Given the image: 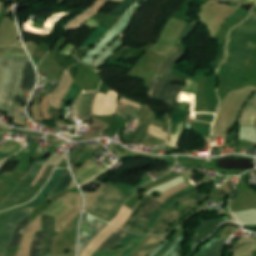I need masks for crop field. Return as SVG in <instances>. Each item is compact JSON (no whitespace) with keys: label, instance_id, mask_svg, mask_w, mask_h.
Here are the masks:
<instances>
[{"label":"crop field","instance_id":"a9b5d70f","mask_svg":"<svg viewBox=\"0 0 256 256\" xmlns=\"http://www.w3.org/2000/svg\"><path fill=\"white\" fill-rule=\"evenodd\" d=\"M124 45L122 39H117L113 45L105 50L101 55L97 57L94 63V69L100 65H105L107 59L111 57L119 48Z\"/></svg>","mask_w":256,"mask_h":256},{"label":"crop field","instance_id":"34b2d1b8","mask_svg":"<svg viewBox=\"0 0 256 256\" xmlns=\"http://www.w3.org/2000/svg\"><path fill=\"white\" fill-rule=\"evenodd\" d=\"M237 37L235 35L231 36L228 55L221 68L241 73L256 44L239 40Z\"/></svg>","mask_w":256,"mask_h":256},{"label":"crop field","instance_id":"d23c7cc5","mask_svg":"<svg viewBox=\"0 0 256 256\" xmlns=\"http://www.w3.org/2000/svg\"><path fill=\"white\" fill-rule=\"evenodd\" d=\"M150 180H152L151 177H149V178H147V179H145V180L139 182L138 184H136L135 186H133L132 188H130V189L127 190V191H129V192L131 193V192L134 191L136 188H138V187L144 185L145 183L149 182Z\"/></svg>","mask_w":256,"mask_h":256},{"label":"crop field","instance_id":"c21b1889","mask_svg":"<svg viewBox=\"0 0 256 256\" xmlns=\"http://www.w3.org/2000/svg\"><path fill=\"white\" fill-rule=\"evenodd\" d=\"M194 190H196V188H194V189H192V190H190V191H188V192H186V193H184V194H182V195L176 197V198L173 199L170 203H168V204L164 207V209L166 210L173 202H175L176 200L180 199L181 197L185 196L186 194H188V193H190V192H192V191H194ZM160 214H162V212H159V213L157 214L156 218L153 220V222L151 223L150 227L148 228L146 234H148V232L150 231V229L152 228V226L154 225V223L156 222V220L158 219V217H159Z\"/></svg>","mask_w":256,"mask_h":256},{"label":"crop field","instance_id":"25e5ab78","mask_svg":"<svg viewBox=\"0 0 256 256\" xmlns=\"http://www.w3.org/2000/svg\"><path fill=\"white\" fill-rule=\"evenodd\" d=\"M171 235L168 237V239L160 246L158 247L150 256H153L156 252H158L161 248L165 246L167 242H169Z\"/></svg>","mask_w":256,"mask_h":256},{"label":"crop field","instance_id":"d32e631a","mask_svg":"<svg viewBox=\"0 0 256 256\" xmlns=\"http://www.w3.org/2000/svg\"><path fill=\"white\" fill-rule=\"evenodd\" d=\"M45 167H46V165L44 166V168L42 169L40 175L36 178V180L33 182L32 185H34L35 182L40 178V176L42 175V173H43ZM53 168H54V166L48 165L47 168H46V170H45V172H44V174H43V175L41 176V178L36 182L35 185H44L45 182L48 180V178H49V176H50V174H51ZM50 177H51V176H50Z\"/></svg>","mask_w":256,"mask_h":256},{"label":"crop field","instance_id":"f4fd0767","mask_svg":"<svg viewBox=\"0 0 256 256\" xmlns=\"http://www.w3.org/2000/svg\"><path fill=\"white\" fill-rule=\"evenodd\" d=\"M152 198L147 196L143 199L141 203L137 206L133 214L130 216V218L127 220V222L124 224L123 229L127 230L128 227L133 223V221L136 219L137 215L140 213V211L143 209V207L151 200ZM162 204L158 203L155 200H151L142 210L138 218L148 221L151 214ZM152 207V210L149 211V208ZM136 219L135 222L130 226L128 231L139 234L141 228L144 226L146 221ZM143 229V228H142Z\"/></svg>","mask_w":256,"mask_h":256},{"label":"crop field","instance_id":"73cf0c24","mask_svg":"<svg viewBox=\"0 0 256 256\" xmlns=\"http://www.w3.org/2000/svg\"><path fill=\"white\" fill-rule=\"evenodd\" d=\"M244 0H222V2H227V3H234V4H242Z\"/></svg>","mask_w":256,"mask_h":256},{"label":"crop field","instance_id":"ac0d7876","mask_svg":"<svg viewBox=\"0 0 256 256\" xmlns=\"http://www.w3.org/2000/svg\"><path fill=\"white\" fill-rule=\"evenodd\" d=\"M126 200V197L118 189L106 183L100 194L85 211L110 222L119 213Z\"/></svg>","mask_w":256,"mask_h":256},{"label":"crop field","instance_id":"4177f3b9","mask_svg":"<svg viewBox=\"0 0 256 256\" xmlns=\"http://www.w3.org/2000/svg\"><path fill=\"white\" fill-rule=\"evenodd\" d=\"M111 28L106 27L100 24L95 31L90 35V37L83 42L79 48L88 47L94 45L99 39H101L107 32H109Z\"/></svg>","mask_w":256,"mask_h":256},{"label":"crop field","instance_id":"bd1437ed","mask_svg":"<svg viewBox=\"0 0 256 256\" xmlns=\"http://www.w3.org/2000/svg\"><path fill=\"white\" fill-rule=\"evenodd\" d=\"M43 230L55 232L56 217L42 214Z\"/></svg>","mask_w":256,"mask_h":256},{"label":"crop field","instance_id":"e52e79f7","mask_svg":"<svg viewBox=\"0 0 256 256\" xmlns=\"http://www.w3.org/2000/svg\"><path fill=\"white\" fill-rule=\"evenodd\" d=\"M45 161H35L31 170L27 173L24 179L20 182L14 192L8 196L2 205H0V211L6 210L11 205L17 202V200L26 192L35 178L38 176L39 172L41 171Z\"/></svg>","mask_w":256,"mask_h":256},{"label":"crop field","instance_id":"8a807250","mask_svg":"<svg viewBox=\"0 0 256 256\" xmlns=\"http://www.w3.org/2000/svg\"><path fill=\"white\" fill-rule=\"evenodd\" d=\"M27 60L28 57L9 51L1 59L4 79L0 86V110L7 111L8 116L11 117L14 97L19 90L23 67ZM6 63L9 65L6 66Z\"/></svg>","mask_w":256,"mask_h":256},{"label":"crop field","instance_id":"5866460e","mask_svg":"<svg viewBox=\"0 0 256 256\" xmlns=\"http://www.w3.org/2000/svg\"><path fill=\"white\" fill-rule=\"evenodd\" d=\"M145 238V236H138L127 248L126 250L122 253L121 256H129L135 249L136 247L142 242V240Z\"/></svg>","mask_w":256,"mask_h":256},{"label":"crop field","instance_id":"0bd39190","mask_svg":"<svg viewBox=\"0 0 256 256\" xmlns=\"http://www.w3.org/2000/svg\"><path fill=\"white\" fill-rule=\"evenodd\" d=\"M149 125H140L133 142H143Z\"/></svg>","mask_w":256,"mask_h":256},{"label":"crop field","instance_id":"dd49c442","mask_svg":"<svg viewBox=\"0 0 256 256\" xmlns=\"http://www.w3.org/2000/svg\"><path fill=\"white\" fill-rule=\"evenodd\" d=\"M211 195H208L204 192L189 198L187 200H184L180 202L179 206L174 209L173 211L169 212L165 218L160 222V224L157 226L154 234H156L158 231H161L160 234H166L169 227L173 224V222L186 210L189 208L201 203L206 198L210 197Z\"/></svg>","mask_w":256,"mask_h":256},{"label":"crop field","instance_id":"c035e120","mask_svg":"<svg viewBox=\"0 0 256 256\" xmlns=\"http://www.w3.org/2000/svg\"><path fill=\"white\" fill-rule=\"evenodd\" d=\"M197 84H198L197 82H195V81H193V80L188 78V80H187V82H186V84H185V86H184L182 91L183 92H192V93L195 94Z\"/></svg>","mask_w":256,"mask_h":256},{"label":"crop field","instance_id":"d1516ede","mask_svg":"<svg viewBox=\"0 0 256 256\" xmlns=\"http://www.w3.org/2000/svg\"><path fill=\"white\" fill-rule=\"evenodd\" d=\"M65 173L64 169H56L49 180V182L46 184V186L42 189V191L38 194V196L31 202L27 203L24 208L29 207H37V205L50 193V191L56 186L62 175ZM62 179V178H61ZM60 182V181H59ZM58 185V184H57Z\"/></svg>","mask_w":256,"mask_h":256},{"label":"crop field","instance_id":"cbeb9de0","mask_svg":"<svg viewBox=\"0 0 256 256\" xmlns=\"http://www.w3.org/2000/svg\"><path fill=\"white\" fill-rule=\"evenodd\" d=\"M96 93H89L80 96L76 104V114L78 118H91V108Z\"/></svg>","mask_w":256,"mask_h":256},{"label":"crop field","instance_id":"89e229c0","mask_svg":"<svg viewBox=\"0 0 256 256\" xmlns=\"http://www.w3.org/2000/svg\"><path fill=\"white\" fill-rule=\"evenodd\" d=\"M247 3H256V0H246L243 4H247Z\"/></svg>","mask_w":256,"mask_h":256},{"label":"crop field","instance_id":"b54c1fbb","mask_svg":"<svg viewBox=\"0 0 256 256\" xmlns=\"http://www.w3.org/2000/svg\"><path fill=\"white\" fill-rule=\"evenodd\" d=\"M182 125H183V123L179 124L178 131H177L176 135H171L168 146H172V147L175 146L176 140H177V138H178V136H179V134L181 132Z\"/></svg>","mask_w":256,"mask_h":256},{"label":"crop field","instance_id":"733c2abd","mask_svg":"<svg viewBox=\"0 0 256 256\" xmlns=\"http://www.w3.org/2000/svg\"><path fill=\"white\" fill-rule=\"evenodd\" d=\"M127 234V232L123 230L117 231L113 236H111L105 244L99 249L103 250L106 246L111 244L109 250L113 249V247ZM136 238V235L127 234L118 244L122 245L123 247H127L134 239Z\"/></svg>","mask_w":256,"mask_h":256},{"label":"crop field","instance_id":"5d738f31","mask_svg":"<svg viewBox=\"0 0 256 256\" xmlns=\"http://www.w3.org/2000/svg\"><path fill=\"white\" fill-rule=\"evenodd\" d=\"M193 26H194V24L187 25V26L184 28L183 32L181 33L179 40H181V39L187 37V36L191 33Z\"/></svg>","mask_w":256,"mask_h":256},{"label":"crop field","instance_id":"b80d0937","mask_svg":"<svg viewBox=\"0 0 256 256\" xmlns=\"http://www.w3.org/2000/svg\"><path fill=\"white\" fill-rule=\"evenodd\" d=\"M162 131H163V129H160V128L150 125L148 133L166 141L168 134L164 133Z\"/></svg>","mask_w":256,"mask_h":256},{"label":"crop field","instance_id":"e1f06a70","mask_svg":"<svg viewBox=\"0 0 256 256\" xmlns=\"http://www.w3.org/2000/svg\"><path fill=\"white\" fill-rule=\"evenodd\" d=\"M15 186L0 183V203L11 193Z\"/></svg>","mask_w":256,"mask_h":256},{"label":"crop field","instance_id":"1d83c4d3","mask_svg":"<svg viewBox=\"0 0 256 256\" xmlns=\"http://www.w3.org/2000/svg\"><path fill=\"white\" fill-rule=\"evenodd\" d=\"M184 241V231L182 232V234L180 235V237L178 238V240L176 241L175 245L172 247V249L165 255V256H182V251H183V247H182V243ZM181 251V254H178V251Z\"/></svg>","mask_w":256,"mask_h":256},{"label":"crop field","instance_id":"dbb93151","mask_svg":"<svg viewBox=\"0 0 256 256\" xmlns=\"http://www.w3.org/2000/svg\"><path fill=\"white\" fill-rule=\"evenodd\" d=\"M210 1H213V0H210Z\"/></svg>","mask_w":256,"mask_h":256},{"label":"crop field","instance_id":"5142ce71","mask_svg":"<svg viewBox=\"0 0 256 256\" xmlns=\"http://www.w3.org/2000/svg\"><path fill=\"white\" fill-rule=\"evenodd\" d=\"M256 122V93L246 105L239 121V126L254 127Z\"/></svg>","mask_w":256,"mask_h":256},{"label":"crop field","instance_id":"730fd06b","mask_svg":"<svg viewBox=\"0 0 256 256\" xmlns=\"http://www.w3.org/2000/svg\"><path fill=\"white\" fill-rule=\"evenodd\" d=\"M169 235V234H168ZM152 236L136 256H146L168 236Z\"/></svg>","mask_w":256,"mask_h":256},{"label":"crop field","instance_id":"d9b57169","mask_svg":"<svg viewBox=\"0 0 256 256\" xmlns=\"http://www.w3.org/2000/svg\"><path fill=\"white\" fill-rule=\"evenodd\" d=\"M110 0H98L86 13L72 21L65 30L78 29L87 19L101 10Z\"/></svg>","mask_w":256,"mask_h":256},{"label":"crop field","instance_id":"d8731c3e","mask_svg":"<svg viewBox=\"0 0 256 256\" xmlns=\"http://www.w3.org/2000/svg\"><path fill=\"white\" fill-rule=\"evenodd\" d=\"M82 225H84L85 230H89V237H82ZM107 223L96 219L87 213H84L82 223H81V233H80V243H79V254L85 248L86 244L101 230ZM83 236H88V231H84ZM78 254V256H79Z\"/></svg>","mask_w":256,"mask_h":256},{"label":"crop field","instance_id":"03da06ac","mask_svg":"<svg viewBox=\"0 0 256 256\" xmlns=\"http://www.w3.org/2000/svg\"><path fill=\"white\" fill-rule=\"evenodd\" d=\"M163 83H164V81H162V80H158V79L156 80V84L154 85V89L152 91V98L153 99L157 98V95H158Z\"/></svg>","mask_w":256,"mask_h":256},{"label":"crop field","instance_id":"750c4746","mask_svg":"<svg viewBox=\"0 0 256 256\" xmlns=\"http://www.w3.org/2000/svg\"><path fill=\"white\" fill-rule=\"evenodd\" d=\"M188 106L189 104H181L177 109V111L175 112V114L173 115L171 121H174V122L184 121L188 114V111H187Z\"/></svg>","mask_w":256,"mask_h":256},{"label":"crop field","instance_id":"5a996713","mask_svg":"<svg viewBox=\"0 0 256 256\" xmlns=\"http://www.w3.org/2000/svg\"><path fill=\"white\" fill-rule=\"evenodd\" d=\"M34 208L17 211L5 226L0 242V256H4L5 250L12 238L14 228L18 222L25 218Z\"/></svg>","mask_w":256,"mask_h":256},{"label":"crop field","instance_id":"dafd665d","mask_svg":"<svg viewBox=\"0 0 256 256\" xmlns=\"http://www.w3.org/2000/svg\"><path fill=\"white\" fill-rule=\"evenodd\" d=\"M224 239H213L206 243L196 256H219Z\"/></svg>","mask_w":256,"mask_h":256},{"label":"crop field","instance_id":"214f88e0","mask_svg":"<svg viewBox=\"0 0 256 256\" xmlns=\"http://www.w3.org/2000/svg\"><path fill=\"white\" fill-rule=\"evenodd\" d=\"M222 222H225V221L213 220V221L204 222L198 229L196 235L193 237L190 245L193 246L196 242L204 239Z\"/></svg>","mask_w":256,"mask_h":256},{"label":"crop field","instance_id":"425ffa30","mask_svg":"<svg viewBox=\"0 0 256 256\" xmlns=\"http://www.w3.org/2000/svg\"><path fill=\"white\" fill-rule=\"evenodd\" d=\"M177 231H178V229L176 230V232H177ZM176 232H175L174 235L172 236L170 242H169L163 249H161L155 256H159V255L171 244V242H172V240H173V238H174Z\"/></svg>","mask_w":256,"mask_h":256},{"label":"crop field","instance_id":"28ad6ade","mask_svg":"<svg viewBox=\"0 0 256 256\" xmlns=\"http://www.w3.org/2000/svg\"><path fill=\"white\" fill-rule=\"evenodd\" d=\"M100 94L101 93L98 94L97 99L94 103V114L95 115H115V114H97ZM117 100H118V95L113 91H109L108 94L102 93L98 113H115Z\"/></svg>","mask_w":256,"mask_h":256},{"label":"crop field","instance_id":"120bbe31","mask_svg":"<svg viewBox=\"0 0 256 256\" xmlns=\"http://www.w3.org/2000/svg\"><path fill=\"white\" fill-rule=\"evenodd\" d=\"M71 181H72V177L70 173L65 174L62 181L59 183L58 187L50 194V196L68 189Z\"/></svg>","mask_w":256,"mask_h":256},{"label":"crop field","instance_id":"bc2a9ffb","mask_svg":"<svg viewBox=\"0 0 256 256\" xmlns=\"http://www.w3.org/2000/svg\"><path fill=\"white\" fill-rule=\"evenodd\" d=\"M73 80L68 72V70L65 72L62 83L59 87V89L54 93V95L51 97V102L54 106L60 108L62 99L68 89L70 88Z\"/></svg>","mask_w":256,"mask_h":256},{"label":"crop field","instance_id":"ae1a2a85","mask_svg":"<svg viewBox=\"0 0 256 256\" xmlns=\"http://www.w3.org/2000/svg\"><path fill=\"white\" fill-rule=\"evenodd\" d=\"M22 147L15 145L8 141L5 146L0 150V160L3 159L6 156H10L16 152H18Z\"/></svg>","mask_w":256,"mask_h":256},{"label":"crop field","instance_id":"3316defc","mask_svg":"<svg viewBox=\"0 0 256 256\" xmlns=\"http://www.w3.org/2000/svg\"><path fill=\"white\" fill-rule=\"evenodd\" d=\"M49 232L45 231H38L35 233L34 241L31 247V255L30 256H41V251L42 248L36 249L35 247L37 246H42L43 240L45 236ZM58 233H49L44 241L43 244V251H42V256H50V249H51V243L54 240Z\"/></svg>","mask_w":256,"mask_h":256},{"label":"crop field","instance_id":"d3111659","mask_svg":"<svg viewBox=\"0 0 256 256\" xmlns=\"http://www.w3.org/2000/svg\"><path fill=\"white\" fill-rule=\"evenodd\" d=\"M137 0H124L109 16H123Z\"/></svg>","mask_w":256,"mask_h":256},{"label":"crop field","instance_id":"eef30255","mask_svg":"<svg viewBox=\"0 0 256 256\" xmlns=\"http://www.w3.org/2000/svg\"><path fill=\"white\" fill-rule=\"evenodd\" d=\"M29 222H30V218L28 216L24 220H22L20 223H18V225L14 231L13 238H12L7 250H9L11 247L19 246L22 231L28 225Z\"/></svg>","mask_w":256,"mask_h":256},{"label":"crop field","instance_id":"028f5c9d","mask_svg":"<svg viewBox=\"0 0 256 256\" xmlns=\"http://www.w3.org/2000/svg\"><path fill=\"white\" fill-rule=\"evenodd\" d=\"M225 46H226V44H223V45L219 46L218 57L213 61L211 66H213V67H215L217 69L219 68L220 64L225 59Z\"/></svg>","mask_w":256,"mask_h":256},{"label":"crop field","instance_id":"00972430","mask_svg":"<svg viewBox=\"0 0 256 256\" xmlns=\"http://www.w3.org/2000/svg\"><path fill=\"white\" fill-rule=\"evenodd\" d=\"M35 82H36L35 73L30 61L28 60V62L24 67V79L22 81L20 90L31 92Z\"/></svg>","mask_w":256,"mask_h":256},{"label":"crop field","instance_id":"1f2cbd36","mask_svg":"<svg viewBox=\"0 0 256 256\" xmlns=\"http://www.w3.org/2000/svg\"><path fill=\"white\" fill-rule=\"evenodd\" d=\"M154 80H155V79H154ZM153 84H154V81H153V83H152V85H151V87H150V90H151V88H152Z\"/></svg>","mask_w":256,"mask_h":256},{"label":"crop field","instance_id":"92a150f3","mask_svg":"<svg viewBox=\"0 0 256 256\" xmlns=\"http://www.w3.org/2000/svg\"><path fill=\"white\" fill-rule=\"evenodd\" d=\"M183 47L179 46L177 51L168 59L165 60V62L162 64L161 68L159 69L156 78L159 79H166V75L170 68L184 55L182 53Z\"/></svg>","mask_w":256,"mask_h":256},{"label":"crop field","instance_id":"4a817a6b","mask_svg":"<svg viewBox=\"0 0 256 256\" xmlns=\"http://www.w3.org/2000/svg\"><path fill=\"white\" fill-rule=\"evenodd\" d=\"M233 34L256 37V12L252 13L251 17L246 19L241 25H239Z\"/></svg>","mask_w":256,"mask_h":256},{"label":"crop field","instance_id":"412701ff","mask_svg":"<svg viewBox=\"0 0 256 256\" xmlns=\"http://www.w3.org/2000/svg\"><path fill=\"white\" fill-rule=\"evenodd\" d=\"M140 6L141 5L136 4L128 11L120 22L98 44L88 51L82 62L92 65L93 58L110 45L128 27L133 11Z\"/></svg>","mask_w":256,"mask_h":256},{"label":"crop field","instance_id":"22f410ed","mask_svg":"<svg viewBox=\"0 0 256 256\" xmlns=\"http://www.w3.org/2000/svg\"><path fill=\"white\" fill-rule=\"evenodd\" d=\"M173 77L174 76L172 75H168L157 98V100H164L165 102H167L169 105H172V106L184 85L182 84L180 87H176V88L171 87L169 84L172 82Z\"/></svg>","mask_w":256,"mask_h":256}]
</instances>
